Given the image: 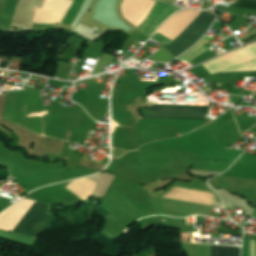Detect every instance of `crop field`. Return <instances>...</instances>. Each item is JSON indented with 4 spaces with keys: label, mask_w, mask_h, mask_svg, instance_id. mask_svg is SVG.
I'll return each mask as SVG.
<instances>
[{
    "label": "crop field",
    "mask_w": 256,
    "mask_h": 256,
    "mask_svg": "<svg viewBox=\"0 0 256 256\" xmlns=\"http://www.w3.org/2000/svg\"><path fill=\"white\" fill-rule=\"evenodd\" d=\"M215 15L202 11L196 19L165 48L175 57L189 49L213 23Z\"/></svg>",
    "instance_id": "1"
},
{
    "label": "crop field",
    "mask_w": 256,
    "mask_h": 256,
    "mask_svg": "<svg viewBox=\"0 0 256 256\" xmlns=\"http://www.w3.org/2000/svg\"><path fill=\"white\" fill-rule=\"evenodd\" d=\"M46 208L47 205L36 202L12 231L36 237L50 218L49 214L44 212Z\"/></svg>",
    "instance_id": "2"
},
{
    "label": "crop field",
    "mask_w": 256,
    "mask_h": 256,
    "mask_svg": "<svg viewBox=\"0 0 256 256\" xmlns=\"http://www.w3.org/2000/svg\"><path fill=\"white\" fill-rule=\"evenodd\" d=\"M208 106L154 105L148 111L207 112ZM147 112L146 117L205 118L207 113ZM161 118V119H162Z\"/></svg>",
    "instance_id": "3"
},
{
    "label": "crop field",
    "mask_w": 256,
    "mask_h": 256,
    "mask_svg": "<svg viewBox=\"0 0 256 256\" xmlns=\"http://www.w3.org/2000/svg\"><path fill=\"white\" fill-rule=\"evenodd\" d=\"M200 12L195 9L184 10L170 18L160 28L178 36Z\"/></svg>",
    "instance_id": "4"
},
{
    "label": "crop field",
    "mask_w": 256,
    "mask_h": 256,
    "mask_svg": "<svg viewBox=\"0 0 256 256\" xmlns=\"http://www.w3.org/2000/svg\"><path fill=\"white\" fill-rule=\"evenodd\" d=\"M240 248L212 245V256H239Z\"/></svg>",
    "instance_id": "5"
},
{
    "label": "crop field",
    "mask_w": 256,
    "mask_h": 256,
    "mask_svg": "<svg viewBox=\"0 0 256 256\" xmlns=\"http://www.w3.org/2000/svg\"><path fill=\"white\" fill-rule=\"evenodd\" d=\"M175 57L169 53L163 46L156 53L148 57L147 59H153V61L169 62Z\"/></svg>",
    "instance_id": "6"
},
{
    "label": "crop field",
    "mask_w": 256,
    "mask_h": 256,
    "mask_svg": "<svg viewBox=\"0 0 256 256\" xmlns=\"http://www.w3.org/2000/svg\"><path fill=\"white\" fill-rule=\"evenodd\" d=\"M245 1H253L256 2V0H245ZM240 1L238 4L234 5L235 7L245 8V9H251L256 10V3L253 2H245Z\"/></svg>",
    "instance_id": "7"
}]
</instances>
